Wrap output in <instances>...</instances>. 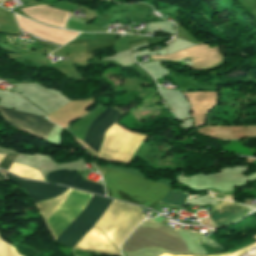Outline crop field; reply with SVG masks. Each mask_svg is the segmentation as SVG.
I'll return each mask as SVG.
<instances>
[{"label": "crop field", "mask_w": 256, "mask_h": 256, "mask_svg": "<svg viewBox=\"0 0 256 256\" xmlns=\"http://www.w3.org/2000/svg\"><path fill=\"white\" fill-rule=\"evenodd\" d=\"M103 181L107 196L153 208L170 188L106 168Z\"/></svg>", "instance_id": "2"}, {"label": "crop field", "mask_w": 256, "mask_h": 256, "mask_svg": "<svg viewBox=\"0 0 256 256\" xmlns=\"http://www.w3.org/2000/svg\"><path fill=\"white\" fill-rule=\"evenodd\" d=\"M16 19L20 28L33 33L41 38H44L49 41L59 43L61 45L67 43L71 39L75 38L78 33L69 32L65 30L55 29L45 27L43 25L37 24L35 22L29 21L19 15H16Z\"/></svg>", "instance_id": "7"}, {"label": "crop field", "mask_w": 256, "mask_h": 256, "mask_svg": "<svg viewBox=\"0 0 256 256\" xmlns=\"http://www.w3.org/2000/svg\"><path fill=\"white\" fill-rule=\"evenodd\" d=\"M20 10L34 19L57 27H63L69 15V13L50 9L46 6H35Z\"/></svg>", "instance_id": "13"}, {"label": "crop field", "mask_w": 256, "mask_h": 256, "mask_svg": "<svg viewBox=\"0 0 256 256\" xmlns=\"http://www.w3.org/2000/svg\"><path fill=\"white\" fill-rule=\"evenodd\" d=\"M47 181L63 183L68 186L80 188L89 192L105 195L102 185L92 183L83 179V177L75 172L68 170H55L45 175Z\"/></svg>", "instance_id": "8"}, {"label": "crop field", "mask_w": 256, "mask_h": 256, "mask_svg": "<svg viewBox=\"0 0 256 256\" xmlns=\"http://www.w3.org/2000/svg\"><path fill=\"white\" fill-rule=\"evenodd\" d=\"M187 193L171 190L161 201L160 203L172 205L179 207L182 206ZM188 195V194H187Z\"/></svg>", "instance_id": "15"}, {"label": "crop field", "mask_w": 256, "mask_h": 256, "mask_svg": "<svg viewBox=\"0 0 256 256\" xmlns=\"http://www.w3.org/2000/svg\"><path fill=\"white\" fill-rule=\"evenodd\" d=\"M145 68L154 78L155 80L166 76L169 71L160 67V66H150V65H141Z\"/></svg>", "instance_id": "16"}, {"label": "crop field", "mask_w": 256, "mask_h": 256, "mask_svg": "<svg viewBox=\"0 0 256 256\" xmlns=\"http://www.w3.org/2000/svg\"><path fill=\"white\" fill-rule=\"evenodd\" d=\"M151 59H163L169 61L181 60L189 57L193 68L212 66L220 61L217 47L209 49L208 46H193L166 56H150Z\"/></svg>", "instance_id": "5"}, {"label": "crop field", "mask_w": 256, "mask_h": 256, "mask_svg": "<svg viewBox=\"0 0 256 256\" xmlns=\"http://www.w3.org/2000/svg\"><path fill=\"white\" fill-rule=\"evenodd\" d=\"M74 248L111 255H121L118 249L108 241L105 235L94 227L78 241Z\"/></svg>", "instance_id": "9"}, {"label": "crop field", "mask_w": 256, "mask_h": 256, "mask_svg": "<svg viewBox=\"0 0 256 256\" xmlns=\"http://www.w3.org/2000/svg\"><path fill=\"white\" fill-rule=\"evenodd\" d=\"M1 117L10 125L46 140L54 124L31 113L13 111L0 106Z\"/></svg>", "instance_id": "4"}, {"label": "crop field", "mask_w": 256, "mask_h": 256, "mask_svg": "<svg viewBox=\"0 0 256 256\" xmlns=\"http://www.w3.org/2000/svg\"><path fill=\"white\" fill-rule=\"evenodd\" d=\"M0 256H20L14 247L0 238Z\"/></svg>", "instance_id": "17"}, {"label": "crop field", "mask_w": 256, "mask_h": 256, "mask_svg": "<svg viewBox=\"0 0 256 256\" xmlns=\"http://www.w3.org/2000/svg\"><path fill=\"white\" fill-rule=\"evenodd\" d=\"M126 135L127 133L123 132L120 128L113 124L105 132L104 141L101 145V150L98 157L112 161ZM145 138L146 137L128 133L113 161L128 163L131 156H133L134 152Z\"/></svg>", "instance_id": "3"}, {"label": "crop field", "mask_w": 256, "mask_h": 256, "mask_svg": "<svg viewBox=\"0 0 256 256\" xmlns=\"http://www.w3.org/2000/svg\"><path fill=\"white\" fill-rule=\"evenodd\" d=\"M7 177L20 185L28 193L33 203L55 197L67 190L66 187L52 186L36 182H25L8 174Z\"/></svg>", "instance_id": "10"}, {"label": "crop field", "mask_w": 256, "mask_h": 256, "mask_svg": "<svg viewBox=\"0 0 256 256\" xmlns=\"http://www.w3.org/2000/svg\"><path fill=\"white\" fill-rule=\"evenodd\" d=\"M36 204L43 220L60 204L66 194ZM91 194L73 189L55 211L44 220L55 239L85 206ZM111 199L92 195L86 206L62 231L55 242L73 247L96 223L111 203ZM145 218L139 207L112 201L94 225L102 231L118 249L137 224Z\"/></svg>", "instance_id": "1"}, {"label": "crop field", "mask_w": 256, "mask_h": 256, "mask_svg": "<svg viewBox=\"0 0 256 256\" xmlns=\"http://www.w3.org/2000/svg\"><path fill=\"white\" fill-rule=\"evenodd\" d=\"M192 101L195 111V127L204 124L207 111L216 105V92L187 93Z\"/></svg>", "instance_id": "12"}, {"label": "crop field", "mask_w": 256, "mask_h": 256, "mask_svg": "<svg viewBox=\"0 0 256 256\" xmlns=\"http://www.w3.org/2000/svg\"><path fill=\"white\" fill-rule=\"evenodd\" d=\"M17 156H18L17 153L7 154L6 157L3 159V161L0 163V167L8 170V168L10 167V165L13 163V161Z\"/></svg>", "instance_id": "18"}, {"label": "crop field", "mask_w": 256, "mask_h": 256, "mask_svg": "<svg viewBox=\"0 0 256 256\" xmlns=\"http://www.w3.org/2000/svg\"><path fill=\"white\" fill-rule=\"evenodd\" d=\"M5 157V154H0V161Z\"/></svg>", "instance_id": "19"}, {"label": "crop field", "mask_w": 256, "mask_h": 256, "mask_svg": "<svg viewBox=\"0 0 256 256\" xmlns=\"http://www.w3.org/2000/svg\"><path fill=\"white\" fill-rule=\"evenodd\" d=\"M9 172L14 173V174L24 177V178H30V179L44 181V179L42 178V176L40 175V173L38 171H36L35 169L21 166L19 164L13 163V165L9 169Z\"/></svg>", "instance_id": "14"}, {"label": "crop field", "mask_w": 256, "mask_h": 256, "mask_svg": "<svg viewBox=\"0 0 256 256\" xmlns=\"http://www.w3.org/2000/svg\"><path fill=\"white\" fill-rule=\"evenodd\" d=\"M251 210L239 207L237 205L222 201L218 203L216 206L212 207L211 213L212 218L211 220L215 224V226H224L229 224L247 213Z\"/></svg>", "instance_id": "11"}, {"label": "crop field", "mask_w": 256, "mask_h": 256, "mask_svg": "<svg viewBox=\"0 0 256 256\" xmlns=\"http://www.w3.org/2000/svg\"><path fill=\"white\" fill-rule=\"evenodd\" d=\"M5 178L2 176V175H0V181H3Z\"/></svg>", "instance_id": "20"}, {"label": "crop field", "mask_w": 256, "mask_h": 256, "mask_svg": "<svg viewBox=\"0 0 256 256\" xmlns=\"http://www.w3.org/2000/svg\"><path fill=\"white\" fill-rule=\"evenodd\" d=\"M120 113L112 108H107L90 124L83 142L92 150L98 153L103 137V131L111 126Z\"/></svg>", "instance_id": "6"}]
</instances>
